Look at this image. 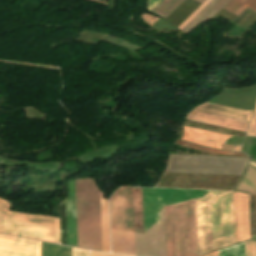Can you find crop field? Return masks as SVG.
I'll list each match as a JSON object with an SVG mask.
<instances>
[{"mask_svg":"<svg viewBox=\"0 0 256 256\" xmlns=\"http://www.w3.org/2000/svg\"><path fill=\"white\" fill-rule=\"evenodd\" d=\"M99 1L105 2V0H99Z\"/></svg>","mask_w":256,"mask_h":256,"instance_id":"31","label":"crop field"},{"mask_svg":"<svg viewBox=\"0 0 256 256\" xmlns=\"http://www.w3.org/2000/svg\"><path fill=\"white\" fill-rule=\"evenodd\" d=\"M229 138V135L184 126L182 139L209 147L239 151V147L225 145Z\"/></svg>","mask_w":256,"mask_h":256,"instance_id":"8","label":"crop field"},{"mask_svg":"<svg viewBox=\"0 0 256 256\" xmlns=\"http://www.w3.org/2000/svg\"><path fill=\"white\" fill-rule=\"evenodd\" d=\"M218 255L219 256H245L244 242L219 250Z\"/></svg>","mask_w":256,"mask_h":256,"instance_id":"18","label":"crop field"},{"mask_svg":"<svg viewBox=\"0 0 256 256\" xmlns=\"http://www.w3.org/2000/svg\"><path fill=\"white\" fill-rule=\"evenodd\" d=\"M247 135L256 136V106L254 109V113H253V116L251 119V123H250L249 129H248Z\"/></svg>","mask_w":256,"mask_h":256,"instance_id":"21","label":"crop field"},{"mask_svg":"<svg viewBox=\"0 0 256 256\" xmlns=\"http://www.w3.org/2000/svg\"><path fill=\"white\" fill-rule=\"evenodd\" d=\"M166 256H197L194 199L165 206Z\"/></svg>","mask_w":256,"mask_h":256,"instance_id":"2","label":"crop field"},{"mask_svg":"<svg viewBox=\"0 0 256 256\" xmlns=\"http://www.w3.org/2000/svg\"><path fill=\"white\" fill-rule=\"evenodd\" d=\"M247 7L256 11V0H231L223 9L238 16Z\"/></svg>","mask_w":256,"mask_h":256,"instance_id":"16","label":"crop field"},{"mask_svg":"<svg viewBox=\"0 0 256 256\" xmlns=\"http://www.w3.org/2000/svg\"><path fill=\"white\" fill-rule=\"evenodd\" d=\"M198 1L203 2L204 0H198Z\"/></svg>","mask_w":256,"mask_h":256,"instance_id":"30","label":"crop field"},{"mask_svg":"<svg viewBox=\"0 0 256 256\" xmlns=\"http://www.w3.org/2000/svg\"><path fill=\"white\" fill-rule=\"evenodd\" d=\"M111 229L134 231L132 187H122L110 199ZM112 251L135 255L134 232L111 230Z\"/></svg>","mask_w":256,"mask_h":256,"instance_id":"4","label":"crop field"},{"mask_svg":"<svg viewBox=\"0 0 256 256\" xmlns=\"http://www.w3.org/2000/svg\"><path fill=\"white\" fill-rule=\"evenodd\" d=\"M184 1L185 0H162L152 10V12H154L166 19Z\"/></svg>","mask_w":256,"mask_h":256,"instance_id":"17","label":"crop field"},{"mask_svg":"<svg viewBox=\"0 0 256 256\" xmlns=\"http://www.w3.org/2000/svg\"><path fill=\"white\" fill-rule=\"evenodd\" d=\"M234 190L256 194V169L247 165Z\"/></svg>","mask_w":256,"mask_h":256,"instance_id":"14","label":"crop field"},{"mask_svg":"<svg viewBox=\"0 0 256 256\" xmlns=\"http://www.w3.org/2000/svg\"><path fill=\"white\" fill-rule=\"evenodd\" d=\"M207 192L142 188L144 232L159 219L158 211L163 206L200 197Z\"/></svg>","mask_w":256,"mask_h":256,"instance_id":"6","label":"crop field"},{"mask_svg":"<svg viewBox=\"0 0 256 256\" xmlns=\"http://www.w3.org/2000/svg\"><path fill=\"white\" fill-rule=\"evenodd\" d=\"M236 243L249 238L248 195L233 192Z\"/></svg>","mask_w":256,"mask_h":256,"instance_id":"9","label":"crop field"},{"mask_svg":"<svg viewBox=\"0 0 256 256\" xmlns=\"http://www.w3.org/2000/svg\"><path fill=\"white\" fill-rule=\"evenodd\" d=\"M68 245L77 247L74 180L68 182L66 199Z\"/></svg>","mask_w":256,"mask_h":256,"instance_id":"11","label":"crop field"},{"mask_svg":"<svg viewBox=\"0 0 256 256\" xmlns=\"http://www.w3.org/2000/svg\"><path fill=\"white\" fill-rule=\"evenodd\" d=\"M210 0H206L199 6L178 28L181 30Z\"/></svg>","mask_w":256,"mask_h":256,"instance_id":"22","label":"crop field"},{"mask_svg":"<svg viewBox=\"0 0 256 256\" xmlns=\"http://www.w3.org/2000/svg\"><path fill=\"white\" fill-rule=\"evenodd\" d=\"M61 243L67 245L65 201L60 204Z\"/></svg>","mask_w":256,"mask_h":256,"instance_id":"20","label":"crop field"},{"mask_svg":"<svg viewBox=\"0 0 256 256\" xmlns=\"http://www.w3.org/2000/svg\"><path fill=\"white\" fill-rule=\"evenodd\" d=\"M194 111L237 119V120L246 121V122L249 121V118L252 113L250 111H245V110H240V109H235V108H230V107H225V106H220V105H215L210 103L202 104L196 109H194Z\"/></svg>","mask_w":256,"mask_h":256,"instance_id":"10","label":"crop field"},{"mask_svg":"<svg viewBox=\"0 0 256 256\" xmlns=\"http://www.w3.org/2000/svg\"><path fill=\"white\" fill-rule=\"evenodd\" d=\"M73 256H89V252L85 250L73 249L72 248Z\"/></svg>","mask_w":256,"mask_h":256,"instance_id":"24","label":"crop field"},{"mask_svg":"<svg viewBox=\"0 0 256 256\" xmlns=\"http://www.w3.org/2000/svg\"><path fill=\"white\" fill-rule=\"evenodd\" d=\"M161 0H149L148 10H152Z\"/></svg>","mask_w":256,"mask_h":256,"instance_id":"25","label":"crop field"},{"mask_svg":"<svg viewBox=\"0 0 256 256\" xmlns=\"http://www.w3.org/2000/svg\"><path fill=\"white\" fill-rule=\"evenodd\" d=\"M91 256H123V255H114V254H105V253L91 252Z\"/></svg>","mask_w":256,"mask_h":256,"instance_id":"26","label":"crop field"},{"mask_svg":"<svg viewBox=\"0 0 256 256\" xmlns=\"http://www.w3.org/2000/svg\"><path fill=\"white\" fill-rule=\"evenodd\" d=\"M187 119L214 124V125L223 126V127H228V128H233V129H238V130H243V131L246 130V127L248 124L246 122L203 114V113L194 112V111H191Z\"/></svg>","mask_w":256,"mask_h":256,"instance_id":"12","label":"crop field"},{"mask_svg":"<svg viewBox=\"0 0 256 256\" xmlns=\"http://www.w3.org/2000/svg\"><path fill=\"white\" fill-rule=\"evenodd\" d=\"M251 166L255 167L256 168V164L251 160L250 164Z\"/></svg>","mask_w":256,"mask_h":256,"instance_id":"29","label":"crop field"},{"mask_svg":"<svg viewBox=\"0 0 256 256\" xmlns=\"http://www.w3.org/2000/svg\"><path fill=\"white\" fill-rule=\"evenodd\" d=\"M249 246V256H256V242L251 241L248 243Z\"/></svg>","mask_w":256,"mask_h":256,"instance_id":"23","label":"crop field"},{"mask_svg":"<svg viewBox=\"0 0 256 256\" xmlns=\"http://www.w3.org/2000/svg\"><path fill=\"white\" fill-rule=\"evenodd\" d=\"M229 0H211L181 31L188 32L200 22L211 19Z\"/></svg>","mask_w":256,"mask_h":256,"instance_id":"13","label":"crop field"},{"mask_svg":"<svg viewBox=\"0 0 256 256\" xmlns=\"http://www.w3.org/2000/svg\"><path fill=\"white\" fill-rule=\"evenodd\" d=\"M198 256L235 243L232 192L195 199Z\"/></svg>","mask_w":256,"mask_h":256,"instance_id":"1","label":"crop field"},{"mask_svg":"<svg viewBox=\"0 0 256 256\" xmlns=\"http://www.w3.org/2000/svg\"><path fill=\"white\" fill-rule=\"evenodd\" d=\"M78 247L102 251L99 190L93 179L75 180Z\"/></svg>","mask_w":256,"mask_h":256,"instance_id":"3","label":"crop field"},{"mask_svg":"<svg viewBox=\"0 0 256 256\" xmlns=\"http://www.w3.org/2000/svg\"><path fill=\"white\" fill-rule=\"evenodd\" d=\"M204 256H218V255H217V251H216V252H213V253H210V254L204 255Z\"/></svg>","mask_w":256,"mask_h":256,"instance_id":"27","label":"crop field"},{"mask_svg":"<svg viewBox=\"0 0 256 256\" xmlns=\"http://www.w3.org/2000/svg\"><path fill=\"white\" fill-rule=\"evenodd\" d=\"M0 200V232L59 243L58 218L9 212Z\"/></svg>","mask_w":256,"mask_h":256,"instance_id":"5","label":"crop field"},{"mask_svg":"<svg viewBox=\"0 0 256 256\" xmlns=\"http://www.w3.org/2000/svg\"><path fill=\"white\" fill-rule=\"evenodd\" d=\"M245 246H246V256H248V247H247V241L245 242Z\"/></svg>","mask_w":256,"mask_h":256,"instance_id":"28","label":"crop field"},{"mask_svg":"<svg viewBox=\"0 0 256 256\" xmlns=\"http://www.w3.org/2000/svg\"><path fill=\"white\" fill-rule=\"evenodd\" d=\"M42 256H71L70 248L41 242ZM0 256H41L40 242L0 235Z\"/></svg>","mask_w":256,"mask_h":256,"instance_id":"7","label":"crop field"},{"mask_svg":"<svg viewBox=\"0 0 256 256\" xmlns=\"http://www.w3.org/2000/svg\"><path fill=\"white\" fill-rule=\"evenodd\" d=\"M176 144L184 145V146H187V147L195 148V149L202 150V151H206V152H212V153H220V154H228V155H236V156H244V157H247L244 153L208 149V148L196 146V145L189 144V143H185V142H181V141H176Z\"/></svg>","mask_w":256,"mask_h":256,"instance_id":"19","label":"crop field"},{"mask_svg":"<svg viewBox=\"0 0 256 256\" xmlns=\"http://www.w3.org/2000/svg\"><path fill=\"white\" fill-rule=\"evenodd\" d=\"M103 251L110 252L108 199L100 192Z\"/></svg>","mask_w":256,"mask_h":256,"instance_id":"15","label":"crop field"}]
</instances>
